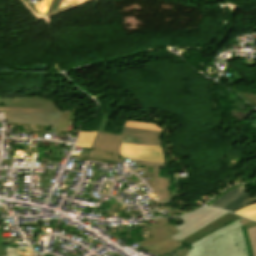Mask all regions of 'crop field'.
<instances>
[{
  "instance_id": "34b2d1b8",
  "label": "crop field",
  "mask_w": 256,
  "mask_h": 256,
  "mask_svg": "<svg viewBox=\"0 0 256 256\" xmlns=\"http://www.w3.org/2000/svg\"><path fill=\"white\" fill-rule=\"evenodd\" d=\"M8 122L58 125L61 112L31 108H6Z\"/></svg>"
},
{
  "instance_id": "ac0d7876",
  "label": "crop field",
  "mask_w": 256,
  "mask_h": 256,
  "mask_svg": "<svg viewBox=\"0 0 256 256\" xmlns=\"http://www.w3.org/2000/svg\"><path fill=\"white\" fill-rule=\"evenodd\" d=\"M226 213L228 212L215 208H202L195 213L178 218L172 223L180 233L173 235L170 238L179 241L198 231L202 227L216 221Z\"/></svg>"
},
{
  "instance_id": "412701ff",
  "label": "crop field",
  "mask_w": 256,
  "mask_h": 256,
  "mask_svg": "<svg viewBox=\"0 0 256 256\" xmlns=\"http://www.w3.org/2000/svg\"><path fill=\"white\" fill-rule=\"evenodd\" d=\"M122 136L123 135H110L103 132H97L90 147L94 148V152L84 151L83 153H80L73 151L72 154L121 161L122 156L119 152V146Z\"/></svg>"
},
{
  "instance_id": "28ad6ade",
  "label": "crop field",
  "mask_w": 256,
  "mask_h": 256,
  "mask_svg": "<svg viewBox=\"0 0 256 256\" xmlns=\"http://www.w3.org/2000/svg\"><path fill=\"white\" fill-rule=\"evenodd\" d=\"M218 256H238L232 232L213 241Z\"/></svg>"
},
{
  "instance_id": "f4fd0767",
  "label": "crop field",
  "mask_w": 256,
  "mask_h": 256,
  "mask_svg": "<svg viewBox=\"0 0 256 256\" xmlns=\"http://www.w3.org/2000/svg\"><path fill=\"white\" fill-rule=\"evenodd\" d=\"M242 219H245V218H242ZM242 219H240V220H242ZM240 220H238V221H240ZM238 221L233 222V223L209 234L208 236L192 243L191 245H189L192 248L190 249L187 256H217V254L214 250V247H213L212 240L222 236L223 234H225L226 232H228L230 230H234L238 227H242Z\"/></svg>"
},
{
  "instance_id": "214f88e0",
  "label": "crop field",
  "mask_w": 256,
  "mask_h": 256,
  "mask_svg": "<svg viewBox=\"0 0 256 256\" xmlns=\"http://www.w3.org/2000/svg\"><path fill=\"white\" fill-rule=\"evenodd\" d=\"M253 256H256V227L246 229Z\"/></svg>"
},
{
  "instance_id": "92a150f3",
  "label": "crop field",
  "mask_w": 256,
  "mask_h": 256,
  "mask_svg": "<svg viewBox=\"0 0 256 256\" xmlns=\"http://www.w3.org/2000/svg\"><path fill=\"white\" fill-rule=\"evenodd\" d=\"M234 92L239 94L242 98H244L248 103H250L252 106L256 107V94H248V93H242L241 91L237 89H232Z\"/></svg>"
},
{
  "instance_id": "bc2a9ffb",
  "label": "crop field",
  "mask_w": 256,
  "mask_h": 256,
  "mask_svg": "<svg viewBox=\"0 0 256 256\" xmlns=\"http://www.w3.org/2000/svg\"><path fill=\"white\" fill-rule=\"evenodd\" d=\"M69 119H70V110L62 112L56 134L60 135L61 130L67 131Z\"/></svg>"
},
{
  "instance_id": "4a817a6b",
  "label": "crop field",
  "mask_w": 256,
  "mask_h": 256,
  "mask_svg": "<svg viewBox=\"0 0 256 256\" xmlns=\"http://www.w3.org/2000/svg\"><path fill=\"white\" fill-rule=\"evenodd\" d=\"M235 213H238V214L247 216L253 220H256V203L242 207L239 210L235 211Z\"/></svg>"
},
{
  "instance_id": "5a996713",
  "label": "crop field",
  "mask_w": 256,
  "mask_h": 256,
  "mask_svg": "<svg viewBox=\"0 0 256 256\" xmlns=\"http://www.w3.org/2000/svg\"><path fill=\"white\" fill-rule=\"evenodd\" d=\"M6 107H32L40 109L57 110L52 101L46 98L32 97V98H8L1 99Z\"/></svg>"
},
{
  "instance_id": "3316defc",
  "label": "crop field",
  "mask_w": 256,
  "mask_h": 256,
  "mask_svg": "<svg viewBox=\"0 0 256 256\" xmlns=\"http://www.w3.org/2000/svg\"><path fill=\"white\" fill-rule=\"evenodd\" d=\"M242 218L241 216H237V215H234V214H227L223 217H221L219 220H217L216 222L202 228L201 230H199L198 232L194 233L193 235H191L190 237L180 241V242H183L187 245L191 244L193 241L233 222V221H236L238 219Z\"/></svg>"
},
{
  "instance_id": "dafd665d",
  "label": "crop field",
  "mask_w": 256,
  "mask_h": 256,
  "mask_svg": "<svg viewBox=\"0 0 256 256\" xmlns=\"http://www.w3.org/2000/svg\"><path fill=\"white\" fill-rule=\"evenodd\" d=\"M70 157H72V158H77V159H83V160H92V161H99V162H107V163H111V164L116 163V161L94 159V158H88V157H82V156H74V155H71Z\"/></svg>"
},
{
  "instance_id": "d1516ede",
  "label": "crop field",
  "mask_w": 256,
  "mask_h": 256,
  "mask_svg": "<svg viewBox=\"0 0 256 256\" xmlns=\"http://www.w3.org/2000/svg\"><path fill=\"white\" fill-rule=\"evenodd\" d=\"M244 192H245V189H244L243 185H240V186L236 187L235 189L229 191L222 197H220L218 200H216L210 206L223 208L225 205H227L229 202H231L236 197L242 195Z\"/></svg>"
},
{
  "instance_id": "d9b57169",
  "label": "crop field",
  "mask_w": 256,
  "mask_h": 256,
  "mask_svg": "<svg viewBox=\"0 0 256 256\" xmlns=\"http://www.w3.org/2000/svg\"><path fill=\"white\" fill-rule=\"evenodd\" d=\"M232 232H233V235H234V239L237 243L238 255L239 256H248L246 246H245V242H244V238H243V235L241 233V229L238 228V229H236L235 231H232Z\"/></svg>"
},
{
  "instance_id": "a9b5d70f",
  "label": "crop field",
  "mask_w": 256,
  "mask_h": 256,
  "mask_svg": "<svg viewBox=\"0 0 256 256\" xmlns=\"http://www.w3.org/2000/svg\"><path fill=\"white\" fill-rule=\"evenodd\" d=\"M242 226L245 227V228H249V227H251V226H256V222L252 221V222L243 224Z\"/></svg>"
},
{
  "instance_id": "4177f3b9",
  "label": "crop field",
  "mask_w": 256,
  "mask_h": 256,
  "mask_svg": "<svg viewBox=\"0 0 256 256\" xmlns=\"http://www.w3.org/2000/svg\"><path fill=\"white\" fill-rule=\"evenodd\" d=\"M249 221H252V220L245 219L243 221H240V223L243 224V223H246V222H249Z\"/></svg>"
},
{
  "instance_id": "5142ce71",
  "label": "crop field",
  "mask_w": 256,
  "mask_h": 256,
  "mask_svg": "<svg viewBox=\"0 0 256 256\" xmlns=\"http://www.w3.org/2000/svg\"><path fill=\"white\" fill-rule=\"evenodd\" d=\"M96 132L80 131L77 147H90Z\"/></svg>"
},
{
  "instance_id": "e52e79f7",
  "label": "crop field",
  "mask_w": 256,
  "mask_h": 256,
  "mask_svg": "<svg viewBox=\"0 0 256 256\" xmlns=\"http://www.w3.org/2000/svg\"><path fill=\"white\" fill-rule=\"evenodd\" d=\"M122 134H124L122 143L125 144L161 146L160 132L137 130L124 127Z\"/></svg>"
},
{
  "instance_id": "8a807250",
  "label": "crop field",
  "mask_w": 256,
  "mask_h": 256,
  "mask_svg": "<svg viewBox=\"0 0 256 256\" xmlns=\"http://www.w3.org/2000/svg\"><path fill=\"white\" fill-rule=\"evenodd\" d=\"M155 220L158 227L150 228V226H148L153 238L139 242L141 244L137 249L142 247L163 256L180 246L182 243L168 238L169 236L178 233L177 229L168 219L159 218Z\"/></svg>"
},
{
  "instance_id": "cbeb9de0",
  "label": "crop field",
  "mask_w": 256,
  "mask_h": 256,
  "mask_svg": "<svg viewBox=\"0 0 256 256\" xmlns=\"http://www.w3.org/2000/svg\"><path fill=\"white\" fill-rule=\"evenodd\" d=\"M124 126L130 127V128L147 129V130H154V131H160V132L163 131V129L160 128L158 125L153 123H147V122H137V121L126 120Z\"/></svg>"
},
{
  "instance_id": "d8731c3e",
  "label": "crop field",
  "mask_w": 256,
  "mask_h": 256,
  "mask_svg": "<svg viewBox=\"0 0 256 256\" xmlns=\"http://www.w3.org/2000/svg\"><path fill=\"white\" fill-rule=\"evenodd\" d=\"M138 165H148L153 166V180H152V190L153 195H158L160 203L168 201V179L158 177L159 167H164L165 163L159 162H149L141 160H132Z\"/></svg>"
},
{
  "instance_id": "00972430",
  "label": "crop field",
  "mask_w": 256,
  "mask_h": 256,
  "mask_svg": "<svg viewBox=\"0 0 256 256\" xmlns=\"http://www.w3.org/2000/svg\"><path fill=\"white\" fill-rule=\"evenodd\" d=\"M7 255L5 247L2 243V233H0V256Z\"/></svg>"
},
{
  "instance_id": "22f410ed",
  "label": "crop field",
  "mask_w": 256,
  "mask_h": 256,
  "mask_svg": "<svg viewBox=\"0 0 256 256\" xmlns=\"http://www.w3.org/2000/svg\"><path fill=\"white\" fill-rule=\"evenodd\" d=\"M254 202H256V196L252 197L248 193H244L241 197L233 200L231 203L225 206L224 209L233 212L242 206H245Z\"/></svg>"
},
{
  "instance_id": "733c2abd",
  "label": "crop field",
  "mask_w": 256,
  "mask_h": 256,
  "mask_svg": "<svg viewBox=\"0 0 256 256\" xmlns=\"http://www.w3.org/2000/svg\"><path fill=\"white\" fill-rule=\"evenodd\" d=\"M8 256H30L28 253H33L29 247H13L6 248Z\"/></svg>"
},
{
  "instance_id": "dd49c442",
  "label": "crop field",
  "mask_w": 256,
  "mask_h": 256,
  "mask_svg": "<svg viewBox=\"0 0 256 256\" xmlns=\"http://www.w3.org/2000/svg\"><path fill=\"white\" fill-rule=\"evenodd\" d=\"M120 152L123 157L130 159L164 162L162 147L121 144Z\"/></svg>"
}]
</instances>
